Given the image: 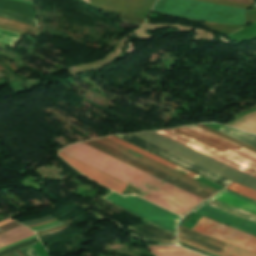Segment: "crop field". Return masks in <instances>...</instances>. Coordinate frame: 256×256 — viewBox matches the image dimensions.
Returning a JSON list of instances; mask_svg holds the SVG:
<instances>
[{"mask_svg": "<svg viewBox=\"0 0 256 256\" xmlns=\"http://www.w3.org/2000/svg\"><path fill=\"white\" fill-rule=\"evenodd\" d=\"M35 235L31 230L21 226L0 235V249L19 240Z\"/></svg>", "mask_w": 256, "mask_h": 256, "instance_id": "crop-field-14", "label": "crop field"}, {"mask_svg": "<svg viewBox=\"0 0 256 256\" xmlns=\"http://www.w3.org/2000/svg\"><path fill=\"white\" fill-rule=\"evenodd\" d=\"M99 140H101V141H103V142H105V143H107L109 145H112V146H114V147H116V148H118V149H120L122 151H125V152H127V153H129V154H131V155H133L135 157H138V158H140V159H142V160H144V161H146L148 163H151V164H153V165H155V166H157V167H159L161 169H164V170H166V171H168V172H170V173H172L174 175H177V176H179V177H181V178H183V179H185L187 181H190V182H192V183H194V184H196V185H198L200 187H203V188H205V189H207V190H209V191H211L213 193L218 191V190H216V189H214V188H212V187H210V186H208L206 184H203V183H201L199 181H195V180H193V179H191V178H189V177H187V176H185V175H183V174H181L179 172H176V171H174V170H172V169H170V168H168V167H166V166H164L162 164H159V163H157V162H155V161H153V160L143 156V155H140V154H138V153H136V152L126 148V147H123V146H121V145H119V144H117V143H115V142H113V141H111V140H109L107 138H103V139H99Z\"/></svg>", "mask_w": 256, "mask_h": 256, "instance_id": "crop-field-12", "label": "crop field"}, {"mask_svg": "<svg viewBox=\"0 0 256 256\" xmlns=\"http://www.w3.org/2000/svg\"><path fill=\"white\" fill-rule=\"evenodd\" d=\"M255 110H256V107H255V108H252V109H250V110L244 111V112H242V113H240V114L234 116V118L236 119V118H238V117H240V116H242V115H245V114L250 113V112L255 111Z\"/></svg>", "mask_w": 256, "mask_h": 256, "instance_id": "crop-field-28", "label": "crop field"}, {"mask_svg": "<svg viewBox=\"0 0 256 256\" xmlns=\"http://www.w3.org/2000/svg\"><path fill=\"white\" fill-rule=\"evenodd\" d=\"M7 256H19L16 252L12 253V254H9Z\"/></svg>", "mask_w": 256, "mask_h": 256, "instance_id": "crop-field-34", "label": "crop field"}, {"mask_svg": "<svg viewBox=\"0 0 256 256\" xmlns=\"http://www.w3.org/2000/svg\"><path fill=\"white\" fill-rule=\"evenodd\" d=\"M134 136L145 140L153 145H156L166 151H169L179 157H182L192 163H195L203 168H206L216 174H219L229 180L256 190V178L238 172L226 165L210 159L155 132L134 134Z\"/></svg>", "mask_w": 256, "mask_h": 256, "instance_id": "crop-field-4", "label": "crop field"}, {"mask_svg": "<svg viewBox=\"0 0 256 256\" xmlns=\"http://www.w3.org/2000/svg\"><path fill=\"white\" fill-rule=\"evenodd\" d=\"M215 197H218L220 199L226 200L228 202L237 204L239 206L245 207L247 209H250V210H253V211L256 212V202H254L252 200H249L247 198L241 197L239 195H236L234 193L228 192L226 190H224V191L220 192L219 194L215 195ZM215 197H213V198H215ZM218 198H215V199H218ZM220 199H218V200H220ZM223 200H221V201H223ZM226 201H223V202H226ZM228 202H226V203H228ZM231 203H228V204H231ZM234 204H231V205H234ZM237 205H234V206L239 207ZM242 207H239V208L256 214L255 212L247 210V209L242 208Z\"/></svg>", "mask_w": 256, "mask_h": 256, "instance_id": "crop-field-13", "label": "crop field"}, {"mask_svg": "<svg viewBox=\"0 0 256 256\" xmlns=\"http://www.w3.org/2000/svg\"><path fill=\"white\" fill-rule=\"evenodd\" d=\"M192 230L256 254V237L202 217Z\"/></svg>", "mask_w": 256, "mask_h": 256, "instance_id": "crop-field-7", "label": "crop field"}, {"mask_svg": "<svg viewBox=\"0 0 256 256\" xmlns=\"http://www.w3.org/2000/svg\"><path fill=\"white\" fill-rule=\"evenodd\" d=\"M59 225H62V223L60 224H57V225H54V226H51V227H47V228H43V229H39V230H35L34 232L37 233V232H41V231H44V230H48V229H51V228H54V227H57Z\"/></svg>", "mask_w": 256, "mask_h": 256, "instance_id": "crop-field-29", "label": "crop field"}, {"mask_svg": "<svg viewBox=\"0 0 256 256\" xmlns=\"http://www.w3.org/2000/svg\"><path fill=\"white\" fill-rule=\"evenodd\" d=\"M84 144L97 149L109 156H112L126 164H129L141 171H144L156 178H159L171 185H174L188 193H191L203 200L207 199L208 197H210L213 193L202 189L192 183H189L181 178H178L168 172H165L157 167H154L146 162H143L133 156H130L122 151H119L109 145H106L98 140H94V141H89V142H83Z\"/></svg>", "mask_w": 256, "mask_h": 256, "instance_id": "crop-field-6", "label": "crop field"}, {"mask_svg": "<svg viewBox=\"0 0 256 256\" xmlns=\"http://www.w3.org/2000/svg\"><path fill=\"white\" fill-rule=\"evenodd\" d=\"M227 189L235 191L237 193L243 194L245 196H248L250 198L256 199V191L252 190L250 188L244 187L242 185L236 184L232 182Z\"/></svg>", "mask_w": 256, "mask_h": 256, "instance_id": "crop-field-19", "label": "crop field"}, {"mask_svg": "<svg viewBox=\"0 0 256 256\" xmlns=\"http://www.w3.org/2000/svg\"><path fill=\"white\" fill-rule=\"evenodd\" d=\"M149 248L155 256H200L177 246H149Z\"/></svg>", "mask_w": 256, "mask_h": 256, "instance_id": "crop-field-15", "label": "crop field"}, {"mask_svg": "<svg viewBox=\"0 0 256 256\" xmlns=\"http://www.w3.org/2000/svg\"><path fill=\"white\" fill-rule=\"evenodd\" d=\"M158 131L157 133L170 138L180 144H183L195 151H198L210 158H213L223 164H226L238 171L249 174L256 177V154L241 147L226 141L212 133H209L197 126L181 127L176 129ZM177 135H188L194 139L200 140L207 145L213 146L220 151H226L228 148L239 149L233 150L228 149L226 152H220L210 146H207L193 138L187 136H176Z\"/></svg>", "mask_w": 256, "mask_h": 256, "instance_id": "crop-field-2", "label": "crop field"}, {"mask_svg": "<svg viewBox=\"0 0 256 256\" xmlns=\"http://www.w3.org/2000/svg\"><path fill=\"white\" fill-rule=\"evenodd\" d=\"M121 19H124V20H127L129 22H133V23H139V24H142L143 20H139V19H136V18H133V17H129V16H121Z\"/></svg>", "mask_w": 256, "mask_h": 256, "instance_id": "crop-field-27", "label": "crop field"}, {"mask_svg": "<svg viewBox=\"0 0 256 256\" xmlns=\"http://www.w3.org/2000/svg\"><path fill=\"white\" fill-rule=\"evenodd\" d=\"M199 23L208 27L211 31L222 33L224 35H227L233 31L239 29L240 27H242V26L228 25V24H210V23H202V22H199Z\"/></svg>", "mask_w": 256, "mask_h": 256, "instance_id": "crop-field-18", "label": "crop field"}, {"mask_svg": "<svg viewBox=\"0 0 256 256\" xmlns=\"http://www.w3.org/2000/svg\"><path fill=\"white\" fill-rule=\"evenodd\" d=\"M200 1L221 4V5H227V6H233V7H239V8H244V9H247L250 6L248 4H242V3L224 1V0H200Z\"/></svg>", "mask_w": 256, "mask_h": 256, "instance_id": "crop-field-22", "label": "crop field"}, {"mask_svg": "<svg viewBox=\"0 0 256 256\" xmlns=\"http://www.w3.org/2000/svg\"><path fill=\"white\" fill-rule=\"evenodd\" d=\"M232 1H237V2H242V3H248V4H253L254 0H232Z\"/></svg>", "mask_w": 256, "mask_h": 256, "instance_id": "crop-field-30", "label": "crop field"}, {"mask_svg": "<svg viewBox=\"0 0 256 256\" xmlns=\"http://www.w3.org/2000/svg\"><path fill=\"white\" fill-rule=\"evenodd\" d=\"M194 212L256 235V224L202 204Z\"/></svg>", "mask_w": 256, "mask_h": 256, "instance_id": "crop-field-11", "label": "crop field"}, {"mask_svg": "<svg viewBox=\"0 0 256 256\" xmlns=\"http://www.w3.org/2000/svg\"><path fill=\"white\" fill-rule=\"evenodd\" d=\"M54 221H56V220L54 219V220L46 222V223H42V224H38V225H34V226H29V228L40 226V225H44V224H48V223H51V222H54Z\"/></svg>", "mask_w": 256, "mask_h": 256, "instance_id": "crop-field-31", "label": "crop field"}, {"mask_svg": "<svg viewBox=\"0 0 256 256\" xmlns=\"http://www.w3.org/2000/svg\"><path fill=\"white\" fill-rule=\"evenodd\" d=\"M103 199L176 236V222L180 217L135 195L111 192Z\"/></svg>", "mask_w": 256, "mask_h": 256, "instance_id": "crop-field-5", "label": "crop field"}, {"mask_svg": "<svg viewBox=\"0 0 256 256\" xmlns=\"http://www.w3.org/2000/svg\"><path fill=\"white\" fill-rule=\"evenodd\" d=\"M107 138H109V139H111V140H113V141H115V142H117L119 144H122V145H124V146H126V147H128V148H130L132 150H135V151H137V152H139V153H141V154H143V155H145L147 157H150V158H152V159H154V160H156V161H158V162H160L162 164H165V165H167V166H169V167H171V168H173L175 170H178V171H180V172H182V173H184V174H186V175H188L190 177H193L195 179H199L200 178V177H198V176H196V175H194V174H192V173H190V172H188V171H186V170H184L182 168H179V167H177V166H175V165H173V164H171V163H169V162H167V161H165V160H163V159H161L159 157H156V156H154V155H152V154H150V153H148V152H146V151H144V150H142V149H140L138 147H135V146H133V145H131V144H129V143H127V142H125V141L115 137V136H111V137H107Z\"/></svg>", "mask_w": 256, "mask_h": 256, "instance_id": "crop-field-16", "label": "crop field"}, {"mask_svg": "<svg viewBox=\"0 0 256 256\" xmlns=\"http://www.w3.org/2000/svg\"><path fill=\"white\" fill-rule=\"evenodd\" d=\"M1 27H3V26H1ZM4 28H6V27H4ZM7 29H10V28H7ZM11 30H14V29H11ZM14 31H17V32L25 34V32H21V31H18V30H14Z\"/></svg>", "mask_w": 256, "mask_h": 256, "instance_id": "crop-field-35", "label": "crop field"}, {"mask_svg": "<svg viewBox=\"0 0 256 256\" xmlns=\"http://www.w3.org/2000/svg\"><path fill=\"white\" fill-rule=\"evenodd\" d=\"M21 251L25 256H38L31 245L21 249Z\"/></svg>", "mask_w": 256, "mask_h": 256, "instance_id": "crop-field-25", "label": "crop field"}, {"mask_svg": "<svg viewBox=\"0 0 256 256\" xmlns=\"http://www.w3.org/2000/svg\"><path fill=\"white\" fill-rule=\"evenodd\" d=\"M16 1H20V2H24V3L32 4L31 1H29V0H16Z\"/></svg>", "mask_w": 256, "mask_h": 256, "instance_id": "crop-field-32", "label": "crop field"}, {"mask_svg": "<svg viewBox=\"0 0 256 256\" xmlns=\"http://www.w3.org/2000/svg\"><path fill=\"white\" fill-rule=\"evenodd\" d=\"M97 8L145 19L156 0H90Z\"/></svg>", "mask_w": 256, "mask_h": 256, "instance_id": "crop-field-9", "label": "crop field"}, {"mask_svg": "<svg viewBox=\"0 0 256 256\" xmlns=\"http://www.w3.org/2000/svg\"><path fill=\"white\" fill-rule=\"evenodd\" d=\"M49 219H53V218L51 216H46V217H42V218H39V219L22 222V224H24L26 226H29V225H34V224H37V223H40V222H43V221H46V220H49Z\"/></svg>", "mask_w": 256, "mask_h": 256, "instance_id": "crop-field-23", "label": "crop field"}, {"mask_svg": "<svg viewBox=\"0 0 256 256\" xmlns=\"http://www.w3.org/2000/svg\"><path fill=\"white\" fill-rule=\"evenodd\" d=\"M226 125L256 134V112L247 114Z\"/></svg>", "mask_w": 256, "mask_h": 256, "instance_id": "crop-field-17", "label": "crop field"}, {"mask_svg": "<svg viewBox=\"0 0 256 256\" xmlns=\"http://www.w3.org/2000/svg\"><path fill=\"white\" fill-rule=\"evenodd\" d=\"M62 158H64L68 163H70L74 168H76L83 175L95 180L96 182L122 194L124 189L127 187V184L114 179L102 172H99L89 166H86L74 159H71L63 154H59Z\"/></svg>", "mask_w": 256, "mask_h": 256, "instance_id": "crop-field-10", "label": "crop field"}, {"mask_svg": "<svg viewBox=\"0 0 256 256\" xmlns=\"http://www.w3.org/2000/svg\"><path fill=\"white\" fill-rule=\"evenodd\" d=\"M18 36H19V34L0 30V43L6 44L8 46H12V44L15 42V40L18 38Z\"/></svg>", "mask_w": 256, "mask_h": 256, "instance_id": "crop-field-20", "label": "crop field"}, {"mask_svg": "<svg viewBox=\"0 0 256 256\" xmlns=\"http://www.w3.org/2000/svg\"><path fill=\"white\" fill-rule=\"evenodd\" d=\"M11 221H13V220H10V219L5 220V221H3V222H0V225H3V224H5V223L11 222Z\"/></svg>", "mask_w": 256, "mask_h": 256, "instance_id": "crop-field-33", "label": "crop field"}, {"mask_svg": "<svg viewBox=\"0 0 256 256\" xmlns=\"http://www.w3.org/2000/svg\"><path fill=\"white\" fill-rule=\"evenodd\" d=\"M60 152L148 193L141 197L180 216L203 201L82 143Z\"/></svg>", "mask_w": 256, "mask_h": 256, "instance_id": "crop-field-1", "label": "crop field"}, {"mask_svg": "<svg viewBox=\"0 0 256 256\" xmlns=\"http://www.w3.org/2000/svg\"><path fill=\"white\" fill-rule=\"evenodd\" d=\"M152 11L186 20L229 24L245 23L246 12L244 9L194 0H159Z\"/></svg>", "mask_w": 256, "mask_h": 256, "instance_id": "crop-field-3", "label": "crop field"}, {"mask_svg": "<svg viewBox=\"0 0 256 256\" xmlns=\"http://www.w3.org/2000/svg\"><path fill=\"white\" fill-rule=\"evenodd\" d=\"M18 226H21V225L18 224L17 222H15V221H13V222H11V223H9V224H6V225H4V226H1V227H0V234L3 233V232H5V231H8V230H10V229L16 228V227H18Z\"/></svg>", "mask_w": 256, "mask_h": 256, "instance_id": "crop-field-24", "label": "crop field"}, {"mask_svg": "<svg viewBox=\"0 0 256 256\" xmlns=\"http://www.w3.org/2000/svg\"><path fill=\"white\" fill-rule=\"evenodd\" d=\"M199 126L204 128V129H206V130H208V131H210V132H212V133H214V134H216V135H219V136H221V137H223V138H225V139H227V140H229V141H231V142H233L235 144H238V145H240V146H242V147H244V148H246V149H248V150H250V151H252L254 153H256V149L251 147V146H248V145H246V144H244V143H242L240 141H237V140H235V139H233V138H231L229 136H226V135H224V134H222V133H220L218 131H215V130H213L211 128H208V127H206L204 125H199Z\"/></svg>", "mask_w": 256, "mask_h": 256, "instance_id": "crop-field-21", "label": "crop field"}, {"mask_svg": "<svg viewBox=\"0 0 256 256\" xmlns=\"http://www.w3.org/2000/svg\"><path fill=\"white\" fill-rule=\"evenodd\" d=\"M247 21L248 22H255L256 21V10L248 11Z\"/></svg>", "mask_w": 256, "mask_h": 256, "instance_id": "crop-field-26", "label": "crop field"}, {"mask_svg": "<svg viewBox=\"0 0 256 256\" xmlns=\"http://www.w3.org/2000/svg\"><path fill=\"white\" fill-rule=\"evenodd\" d=\"M178 240L218 256H256L184 227L179 229Z\"/></svg>", "mask_w": 256, "mask_h": 256, "instance_id": "crop-field-8", "label": "crop field"}]
</instances>
